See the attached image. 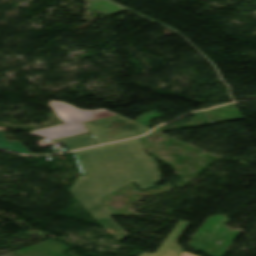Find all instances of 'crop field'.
<instances>
[{
	"instance_id": "8a807250",
	"label": "crop field",
	"mask_w": 256,
	"mask_h": 256,
	"mask_svg": "<svg viewBox=\"0 0 256 256\" xmlns=\"http://www.w3.org/2000/svg\"><path fill=\"white\" fill-rule=\"evenodd\" d=\"M73 153L82 175L69 192L121 242L129 234L111 218L100 199L132 181L141 190L155 187L162 179L154 158L145 154L138 138Z\"/></svg>"
},
{
	"instance_id": "dd49c442",
	"label": "crop field",
	"mask_w": 256,
	"mask_h": 256,
	"mask_svg": "<svg viewBox=\"0 0 256 256\" xmlns=\"http://www.w3.org/2000/svg\"><path fill=\"white\" fill-rule=\"evenodd\" d=\"M180 256H196V255H193V254L183 251Z\"/></svg>"
},
{
	"instance_id": "f4fd0767",
	"label": "crop field",
	"mask_w": 256,
	"mask_h": 256,
	"mask_svg": "<svg viewBox=\"0 0 256 256\" xmlns=\"http://www.w3.org/2000/svg\"><path fill=\"white\" fill-rule=\"evenodd\" d=\"M0 148L23 154H30L20 141L9 142L5 140L3 131H0Z\"/></svg>"
},
{
	"instance_id": "e52e79f7",
	"label": "crop field",
	"mask_w": 256,
	"mask_h": 256,
	"mask_svg": "<svg viewBox=\"0 0 256 256\" xmlns=\"http://www.w3.org/2000/svg\"><path fill=\"white\" fill-rule=\"evenodd\" d=\"M57 143H59V142H57ZM40 144H41V146H47L48 144H46L45 142H43V141H41L40 142ZM55 144V143H54ZM51 145V144H50Z\"/></svg>"
},
{
	"instance_id": "ac0d7876",
	"label": "crop field",
	"mask_w": 256,
	"mask_h": 256,
	"mask_svg": "<svg viewBox=\"0 0 256 256\" xmlns=\"http://www.w3.org/2000/svg\"><path fill=\"white\" fill-rule=\"evenodd\" d=\"M47 104L59 115L64 124L59 127L30 132V134L49 140L87 133L88 131L84 127L85 125L83 126V122L117 115L106 108L89 111L55 100Z\"/></svg>"
},
{
	"instance_id": "412701ff",
	"label": "crop field",
	"mask_w": 256,
	"mask_h": 256,
	"mask_svg": "<svg viewBox=\"0 0 256 256\" xmlns=\"http://www.w3.org/2000/svg\"><path fill=\"white\" fill-rule=\"evenodd\" d=\"M44 141L48 144L61 141L65 144V146L68 148L69 151L96 145L90 133L68 137L64 139H59V140H53L50 142L47 140H44Z\"/></svg>"
},
{
	"instance_id": "34b2d1b8",
	"label": "crop field",
	"mask_w": 256,
	"mask_h": 256,
	"mask_svg": "<svg viewBox=\"0 0 256 256\" xmlns=\"http://www.w3.org/2000/svg\"><path fill=\"white\" fill-rule=\"evenodd\" d=\"M189 225V223L179 222L157 253L149 254L142 252L140 256H179L184 249L179 247L176 242Z\"/></svg>"
}]
</instances>
